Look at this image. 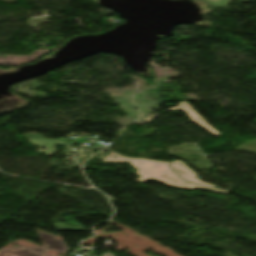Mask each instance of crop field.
<instances>
[{
    "instance_id": "8a807250",
    "label": "crop field",
    "mask_w": 256,
    "mask_h": 256,
    "mask_svg": "<svg viewBox=\"0 0 256 256\" xmlns=\"http://www.w3.org/2000/svg\"><path fill=\"white\" fill-rule=\"evenodd\" d=\"M117 156L116 159L113 158ZM105 162H113V163H121L123 161H130L133 168L138 171L134 172L135 174L141 176L142 178L136 180L139 182H145L151 178L162 181L170 186L185 188V189H193V188H206L211 189L212 191L227 193V191L204 187L192 183L185 182L182 180L172 169H170L167 165L170 163L147 160V159H131V158H123L113 152L110 155L103 159Z\"/></svg>"
},
{
    "instance_id": "ac0d7876",
    "label": "crop field",
    "mask_w": 256,
    "mask_h": 256,
    "mask_svg": "<svg viewBox=\"0 0 256 256\" xmlns=\"http://www.w3.org/2000/svg\"><path fill=\"white\" fill-rule=\"evenodd\" d=\"M25 137L28 140V142L34 143L35 146L46 147L45 151L37 150V153L45 152L47 156L55 152L54 151L55 144H63L65 142L63 140H46L44 137H39L35 134H26ZM74 143H76V142H71L69 144H66V146H71ZM43 144H45V146H43ZM77 144H79V143H77Z\"/></svg>"
},
{
    "instance_id": "34b2d1b8",
    "label": "crop field",
    "mask_w": 256,
    "mask_h": 256,
    "mask_svg": "<svg viewBox=\"0 0 256 256\" xmlns=\"http://www.w3.org/2000/svg\"><path fill=\"white\" fill-rule=\"evenodd\" d=\"M177 108H182L183 110H176V111H184L193 121H195L201 127L206 129L207 131H209L211 134H213L215 136L221 135L213 127H211L203 117L196 114L194 109L188 104V102L178 103L177 107L168 109L166 111H173V109H177ZM204 121H205V123L203 124Z\"/></svg>"
},
{
    "instance_id": "412701ff",
    "label": "crop field",
    "mask_w": 256,
    "mask_h": 256,
    "mask_svg": "<svg viewBox=\"0 0 256 256\" xmlns=\"http://www.w3.org/2000/svg\"><path fill=\"white\" fill-rule=\"evenodd\" d=\"M170 168H172L181 178H183L184 180L188 181V182H192V183H196V184H200V185H204V186H209V187H213L207 184H204L202 182H200L195 174L193 172H191L185 165H183L180 161H175L173 163H171L170 165H168ZM216 188V187H214Z\"/></svg>"
},
{
    "instance_id": "f4fd0767",
    "label": "crop field",
    "mask_w": 256,
    "mask_h": 256,
    "mask_svg": "<svg viewBox=\"0 0 256 256\" xmlns=\"http://www.w3.org/2000/svg\"><path fill=\"white\" fill-rule=\"evenodd\" d=\"M44 251L48 250L40 247H35L32 249L27 247H15L11 250L0 251V256H48L41 254V252Z\"/></svg>"
},
{
    "instance_id": "dd49c442",
    "label": "crop field",
    "mask_w": 256,
    "mask_h": 256,
    "mask_svg": "<svg viewBox=\"0 0 256 256\" xmlns=\"http://www.w3.org/2000/svg\"><path fill=\"white\" fill-rule=\"evenodd\" d=\"M47 249H53L59 253H66L67 247L65 243L55 237V235L38 232Z\"/></svg>"
},
{
    "instance_id": "e52e79f7",
    "label": "crop field",
    "mask_w": 256,
    "mask_h": 256,
    "mask_svg": "<svg viewBox=\"0 0 256 256\" xmlns=\"http://www.w3.org/2000/svg\"><path fill=\"white\" fill-rule=\"evenodd\" d=\"M206 1L209 2L211 5H213L214 7H228L226 6V3L229 2V0H206ZM242 1H253V0H242Z\"/></svg>"
},
{
    "instance_id": "d8731c3e",
    "label": "crop field",
    "mask_w": 256,
    "mask_h": 256,
    "mask_svg": "<svg viewBox=\"0 0 256 256\" xmlns=\"http://www.w3.org/2000/svg\"><path fill=\"white\" fill-rule=\"evenodd\" d=\"M97 147H101V146H99V145H97V144H95V145H92V146H87V148H89V149H92V148H97ZM103 148V147H102Z\"/></svg>"
},
{
    "instance_id": "5a996713",
    "label": "crop field",
    "mask_w": 256,
    "mask_h": 256,
    "mask_svg": "<svg viewBox=\"0 0 256 256\" xmlns=\"http://www.w3.org/2000/svg\"><path fill=\"white\" fill-rule=\"evenodd\" d=\"M103 256H113L112 254H104Z\"/></svg>"
}]
</instances>
